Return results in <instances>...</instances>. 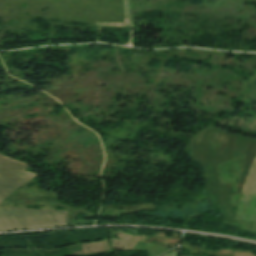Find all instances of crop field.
<instances>
[{
	"label": "crop field",
	"instance_id": "obj_1",
	"mask_svg": "<svg viewBox=\"0 0 256 256\" xmlns=\"http://www.w3.org/2000/svg\"><path fill=\"white\" fill-rule=\"evenodd\" d=\"M27 164L0 154V203L18 187L36 177L24 171ZM68 212L0 208V231L65 226Z\"/></svg>",
	"mask_w": 256,
	"mask_h": 256
},
{
	"label": "crop field",
	"instance_id": "obj_2",
	"mask_svg": "<svg viewBox=\"0 0 256 256\" xmlns=\"http://www.w3.org/2000/svg\"><path fill=\"white\" fill-rule=\"evenodd\" d=\"M237 192L242 196L236 219L254 222L256 232V156Z\"/></svg>",
	"mask_w": 256,
	"mask_h": 256
},
{
	"label": "crop field",
	"instance_id": "obj_3",
	"mask_svg": "<svg viewBox=\"0 0 256 256\" xmlns=\"http://www.w3.org/2000/svg\"><path fill=\"white\" fill-rule=\"evenodd\" d=\"M163 256H176V252H174V253H169V254H165V255H163Z\"/></svg>",
	"mask_w": 256,
	"mask_h": 256
}]
</instances>
